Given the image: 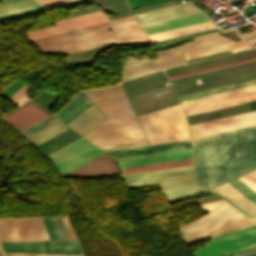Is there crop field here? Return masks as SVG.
Here are the masks:
<instances>
[{
    "label": "crop field",
    "instance_id": "17",
    "mask_svg": "<svg viewBox=\"0 0 256 256\" xmlns=\"http://www.w3.org/2000/svg\"><path fill=\"white\" fill-rule=\"evenodd\" d=\"M199 207L201 209L206 210L207 212H209V214L202 216L186 225L180 226L179 230H184L208 221H212L236 212H239V210H237L235 207H233L231 204H229L228 202H226L223 199L220 200H216V201H212V202H208V203H204V204H200Z\"/></svg>",
    "mask_w": 256,
    "mask_h": 256
},
{
    "label": "crop field",
    "instance_id": "30",
    "mask_svg": "<svg viewBox=\"0 0 256 256\" xmlns=\"http://www.w3.org/2000/svg\"><path fill=\"white\" fill-rule=\"evenodd\" d=\"M23 240L18 219L0 220V241Z\"/></svg>",
    "mask_w": 256,
    "mask_h": 256
},
{
    "label": "crop field",
    "instance_id": "6",
    "mask_svg": "<svg viewBox=\"0 0 256 256\" xmlns=\"http://www.w3.org/2000/svg\"><path fill=\"white\" fill-rule=\"evenodd\" d=\"M102 154L104 153L81 138L47 155V157L56 165L63 175Z\"/></svg>",
    "mask_w": 256,
    "mask_h": 256
},
{
    "label": "crop field",
    "instance_id": "50",
    "mask_svg": "<svg viewBox=\"0 0 256 256\" xmlns=\"http://www.w3.org/2000/svg\"><path fill=\"white\" fill-rule=\"evenodd\" d=\"M255 103H256V101L248 102V105L255 104ZM249 110H250V111H251V110H256V106L249 108Z\"/></svg>",
    "mask_w": 256,
    "mask_h": 256
},
{
    "label": "crop field",
    "instance_id": "24",
    "mask_svg": "<svg viewBox=\"0 0 256 256\" xmlns=\"http://www.w3.org/2000/svg\"><path fill=\"white\" fill-rule=\"evenodd\" d=\"M193 165L192 158L119 168L122 175Z\"/></svg>",
    "mask_w": 256,
    "mask_h": 256
},
{
    "label": "crop field",
    "instance_id": "34",
    "mask_svg": "<svg viewBox=\"0 0 256 256\" xmlns=\"http://www.w3.org/2000/svg\"><path fill=\"white\" fill-rule=\"evenodd\" d=\"M31 86L28 84H24L21 86L17 91H15L10 97H8L6 100L14 104L15 106H20L23 103L27 102L31 98L26 97L25 92L28 88Z\"/></svg>",
    "mask_w": 256,
    "mask_h": 256
},
{
    "label": "crop field",
    "instance_id": "19",
    "mask_svg": "<svg viewBox=\"0 0 256 256\" xmlns=\"http://www.w3.org/2000/svg\"><path fill=\"white\" fill-rule=\"evenodd\" d=\"M212 190L224 197L247 216L256 215V206L252 204L253 202L251 203L249 200H247L248 198L246 199L227 183Z\"/></svg>",
    "mask_w": 256,
    "mask_h": 256
},
{
    "label": "crop field",
    "instance_id": "33",
    "mask_svg": "<svg viewBox=\"0 0 256 256\" xmlns=\"http://www.w3.org/2000/svg\"><path fill=\"white\" fill-rule=\"evenodd\" d=\"M233 188L239 191L242 195L248 198L251 202L256 205V192H254L251 188H249L246 184H244L238 178L228 182Z\"/></svg>",
    "mask_w": 256,
    "mask_h": 256
},
{
    "label": "crop field",
    "instance_id": "11",
    "mask_svg": "<svg viewBox=\"0 0 256 256\" xmlns=\"http://www.w3.org/2000/svg\"><path fill=\"white\" fill-rule=\"evenodd\" d=\"M252 124H256V111L192 125L190 131L195 138Z\"/></svg>",
    "mask_w": 256,
    "mask_h": 256
},
{
    "label": "crop field",
    "instance_id": "37",
    "mask_svg": "<svg viewBox=\"0 0 256 256\" xmlns=\"http://www.w3.org/2000/svg\"><path fill=\"white\" fill-rule=\"evenodd\" d=\"M170 0H127L130 9L150 6Z\"/></svg>",
    "mask_w": 256,
    "mask_h": 256
},
{
    "label": "crop field",
    "instance_id": "21",
    "mask_svg": "<svg viewBox=\"0 0 256 256\" xmlns=\"http://www.w3.org/2000/svg\"><path fill=\"white\" fill-rule=\"evenodd\" d=\"M104 118L105 117L102 115V113L93 104L79 116L69 122L68 125L83 135Z\"/></svg>",
    "mask_w": 256,
    "mask_h": 256
},
{
    "label": "crop field",
    "instance_id": "18",
    "mask_svg": "<svg viewBox=\"0 0 256 256\" xmlns=\"http://www.w3.org/2000/svg\"><path fill=\"white\" fill-rule=\"evenodd\" d=\"M0 19L19 17L36 11L45 5L36 0H1Z\"/></svg>",
    "mask_w": 256,
    "mask_h": 256
},
{
    "label": "crop field",
    "instance_id": "3",
    "mask_svg": "<svg viewBox=\"0 0 256 256\" xmlns=\"http://www.w3.org/2000/svg\"><path fill=\"white\" fill-rule=\"evenodd\" d=\"M110 31L105 29L116 28ZM109 42L116 44L148 43L139 27L133 21L37 44L36 46L48 54H70L87 50Z\"/></svg>",
    "mask_w": 256,
    "mask_h": 256
},
{
    "label": "crop field",
    "instance_id": "1",
    "mask_svg": "<svg viewBox=\"0 0 256 256\" xmlns=\"http://www.w3.org/2000/svg\"><path fill=\"white\" fill-rule=\"evenodd\" d=\"M223 183L256 168V125L215 135ZM214 135L192 140L198 183H222Z\"/></svg>",
    "mask_w": 256,
    "mask_h": 256
},
{
    "label": "crop field",
    "instance_id": "9",
    "mask_svg": "<svg viewBox=\"0 0 256 256\" xmlns=\"http://www.w3.org/2000/svg\"><path fill=\"white\" fill-rule=\"evenodd\" d=\"M239 213H241V212H239ZM239 213L228 216V217H224V218H221V219H218V220H215V221H212V222L200 225V226H196V227L184 230L183 232L186 235V234L196 232V231H199V230H202V229L214 226V225H218V224H221V223L233 220V219L243 217L242 216L243 214L241 213L242 214L241 215ZM255 223H256V217L248 219L245 216L243 218L233 220V221H230V222H227V223L215 226V227H211V228H208V229L196 232V233H192V234H189V235H186V236H184L182 231L180 233H181V236H182L185 244H187V243L192 242V241L209 238V237H212V236L223 234V233H226V232H229V231H232V230H236V229H239V228H242V227H245V226H248V225H252V224H255Z\"/></svg>",
    "mask_w": 256,
    "mask_h": 256
},
{
    "label": "crop field",
    "instance_id": "43",
    "mask_svg": "<svg viewBox=\"0 0 256 256\" xmlns=\"http://www.w3.org/2000/svg\"><path fill=\"white\" fill-rule=\"evenodd\" d=\"M253 249H256V244L248 246V247H245V248H242V249L226 252V253H224V255L225 256H232V255L244 253V252H247V251H250V250H253Z\"/></svg>",
    "mask_w": 256,
    "mask_h": 256
},
{
    "label": "crop field",
    "instance_id": "40",
    "mask_svg": "<svg viewBox=\"0 0 256 256\" xmlns=\"http://www.w3.org/2000/svg\"><path fill=\"white\" fill-rule=\"evenodd\" d=\"M239 179L256 191V170L239 177Z\"/></svg>",
    "mask_w": 256,
    "mask_h": 256
},
{
    "label": "crop field",
    "instance_id": "46",
    "mask_svg": "<svg viewBox=\"0 0 256 256\" xmlns=\"http://www.w3.org/2000/svg\"><path fill=\"white\" fill-rule=\"evenodd\" d=\"M47 5H50V4H54V3H57V2H61V1H64V0H39Z\"/></svg>",
    "mask_w": 256,
    "mask_h": 256
},
{
    "label": "crop field",
    "instance_id": "15",
    "mask_svg": "<svg viewBox=\"0 0 256 256\" xmlns=\"http://www.w3.org/2000/svg\"><path fill=\"white\" fill-rule=\"evenodd\" d=\"M48 115L50 114L33 101L2 118L22 130Z\"/></svg>",
    "mask_w": 256,
    "mask_h": 256
},
{
    "label": "crop field",
    "instance_id": "27",
    "mask_svg": "<svg viewBox=\"0 0 256 256\" xmlns=\"http://www.w3.org/2000/svg\"><path fill=\"white\" fill-rule=\"evenodd\" d=\"M188 147H191L190 141L166 144V145H159V146H152V147L130 149V150H123V151H116V152H109L108 154L110 156H112L113 158H117V157H124V156H131V155H138V154H145V153H152V152H160V151H167V150H174V149H181V148H188Z\"/></svg>",
    "mask_w": 256,
    "mask_h": 256
},
{
    "label": "crop field",
    "instance_id": "13",
    "mask_svg": "<svg viewBox=\"0 0 256 256\" xmlns=\"http://www.w3.org/2000/svg\"><path fill=\"white\" fill-rule=\"evenodd\" d=\"M186 4L189 2L135 14L134 17L143 26L200 12L195 7L188 8Z\"/></svg>",
    "mask_w": 256,
    "mask_h": 256
},
{
    "label": "crop field",
    "instance_id": "16",
    "mask_svg": "<svg viewBox=\"0 0 256 256\" xmlns=\"http://www.w3.org/2000/svg\"><path fill=\"white\" fill-rule=\"evenodd\" d=\"M189 157H192L191 148L167 151V152H160V153H153V154L131 156V157H124V158H117L116 160L118 162V166L122 167V166H130V165L167 161V160L189 158Z\"/></svg>",
    "mask_w": 256,
    "mask_h": 256
},
{
    "label": "crop field",
    "instance_id": "52",
    "mask_svg": "<svg viewBox=\"0 0 256 256\" xmlns=\"http://www.w3.org/2000/svg\"><path fill=\"white\" fill-rule=\"evenodd\" d=\"M1 256V255H0Z\"/></svg>",
    "mask_w": 256,
    "mask_h": 256
},
{
    "label": "crop field",
    "instance_id": "23",
    "mask_svg": "<svg viewBox=\"0 0 256 256\" xmlns=\"http://www.w3.org/2000/svg\"><path fill=\"white\" fill-rule=\"evenodd\" d=\"M194 39L195 41L183 45L185 53L233 42L232 40L222 36L219 31L196 36Z\"/></svg>",
    "mask_w": 256,
    "mask_h": 256
},
{
    "label": "crop field",
    "instance_id": "10",
    "mask_svg": "<svg viewBox=\"0 0 256 256\" xmlns=\"http://www.w3.org/2000/svg\"><path fill=\"white\" fill-rule=\"evenodd\" d=\"M2 251L81 254L77 240L1 242Z\"/></svg>",
    "mask_w": 256,
    "mask_h": 256
},
{
    "label": "crop field",
    "instance_id": "44",
    "mask_svg": "<svg viewBox=\"0 0 256 256\" xmlns=\"http://www.w3.org/2000/svg\"><path fill=\"white\" fill-rule=\"evenodd\" d=\"M62 220H63V222H64V224H65V226H66V228H67L71 238L72 239H76V235H75V233H74V231H73V229H72V227H71L67 217H62Z\"/></svg>",
    "mask_w": 256,
    "mask_h": 256
},
{
    "label": "crop field",
    "instance_id": "25",
    "mask_svg": "<svg viewBox=\"0 0 256 256\" xmlns=\"http://www.w3.org/2000/svg\"><path fill=\"white\" fill-rule=\"evenodd\" d=\"M24 239L49 238L41 218H18ZM44 240V239H34Z\"/></svg>",
    "mask_w": 256,
    "mask_h": 256
},
{
    "label": "crop field",
    "instance_id": "35",
    "mask_svg": "<svg viewBox=\"0 0 256 256\" xmlns=\"http://www.w3.org/2000/svg\"><path fill=\"white\" fill-rule=\"evenodd\" d=\"M58 121H60V120H58L54 116H51V117L41 121L40 123L32 126L31 128L21 132V133L27 138V137H29V136H31V135H33V134L43 130L44 128H46V127H48V126H50V125H52V124H54V123H56Z\"/></svg>",
    "mask_w": 256,
    "mask_h": 256
},
{
    "label": "crop field",
    "instance_id": "45",
    "mask_svg": "<svg viewBox=\"0 0 256 256\" xmlns=\"http://www.w3.org/2000/svg\"><path fill=\"white\" fill-rule=\"evenodd\" d=\"M250 47L251 46L240 48V49H235V50H231V51H227V52H222V53H218V54H214V55H209V56H205V57H201V58H196V59L188 60L186 62H190V61H194V60H198V59H203V58H207V57H211V56H216V55H220V54H224V53H229V52H233V51H237V50H242V49H246V48H250Z\"/></svg>",
    "mask_w": 256,
    "mask_h": 256
},
{
    "label": "crop field",
    "instance_id": "47",
    "mask_svg": "<svg viewBox=\"0 0 256 256\" xmlns=\"http://www.w3.org/2000/svg\"><path fill=\"white\" fill-rule=\"evenodd\" d=\"M58 219H59V222H60V224H61V227H62L63 233H64V235H65V238H66V239H70V237H69V235H68V233H67V231H66V229H65V227H64V225H63V223H62V221H61V219H60V217H59Z\"/></svg>",
    "mask_w": 256,
    "mask_h": 256
},
{
    "label": "crop field",
    "instance_id": "29",
    "mask_svg": "<svg viewBox=\"0 0 256 256\" xmlns=\"http://www.w3.org/2000/svg\"><path fill=\"white\" fill-rule=\"evenodd\" d=\"M211 27H215V25L210 21H208V22H204L196 25H191V26H187L179 29H174L166 32L149 35L148 37L150 38L151 41H156V40L167 39V38L195 32V31L211 28Z\"/></svg>",
    "mask_w": 256,
    "mask_h": 256
},
{
    "label": "crop field",
    "instance_id": "41",
    "mask_svg": "<svg viewBox=\"0 0 256 256\" xmlns=\"http://www.w3.org/2000/svg\"><path fill=\"white\" fill-rule=\"evenodd\" d=\"M4 256H81V255H58V254H35V253H3Z\"/></svg>",
    "mask_w": 256,
    "mask_h": 256
},
{
    "label": "crop field",
    "instance_id": "8",
    "mask_svg": "<svg viewBox=\"0 0 256 256\" xmlns=\"http://www.w3.org/2000/svg\"><path fill=\"white\" fill-rule=\"evenodd\" d=\"M204 247L198 248L194 256H210L256 243V224L211 238Z\"/></svg>",
    "mask_w": 256,
    "mask_h": 256
},
{
    "label": "crop field",
    "instance_id": "20",
    "mask_svg": "<svg viewBox=\"0 0 256 256\" xmlns=\"http://www.w3.org/2000/svg\"><path fill=\"white\" fill-rule=\"evenodd\" d=\"M209 20L207 17H205L202 13L191 15V16H186L178 19H173L169 21H164L156 24H151L147 26H143L142 29L146 33V35L165 31V30H170L186 25H191L203 21Z\"/></svg>",
    "mask_w": 256,
    "mask_h": 256
},
{
    "label": "crop field",
    "instance_id": "32",
    "mask_svg": "<svg viewBox=\"0 0 256 256\" xmlns=\"http://www.w3.org/2000/svg\"><path fill=\"white\" fill-rule=\"evenodd\" d=\"M253 84H256V79L241 82V83H236V84H232V85H228V86H224V87H219V88H215V89H211V90H207V91H203V92L190 94V95L182 96L180 98L182 101H184V100H188V99H192V98H197V97L210 95V94H214V93H218V92H223V91H227V90H231V89L245 87V86H249V85H253Z\"/></svg>",
    "mask_w": 256,
    "mask_h": 256
},
{
    "label": "crop field",
    "instance_id": "5",
    "mask_svg": "<svg viewBox=\"0 0 256 256\" xmlns=\"http://www.w3.org/2000/svg\"><path fill=\"white\" fill-rule=\"evenodd\" d=\"M137 118L150 144L189 139L180 104Z\"/></svg>",
    "mask_w": 256,
    "mask_h": 256
},
{
    "label": "crop field",
    "instance_id": "36",
    "mask_svg": "<svg viewBox=\"0 0 256 256\" xmlns=\"http://www.w3.org/2000/svg\"><path fill=\"white\" fill-rule=\"evenodd\" d=\"M145 145H148V143H147L146 140H143V141L122 143V144L100 146L98 148L103 150V151H108V150H116V149L130 148V147L145 146Z\"/></svg>",
    "mask_w": 256,
    "mask_h": 256
},
{
    "label": "crop field",
    "instance_id": "48",
    "mask_svg": "<svg viewBox=\"0 0 256 256\" xmlns=\"http://www.w3.org/2000/svg\"><path fill=\"white\" fill-rule=\"evenodd\" d=\"M236 256H256V250H253L244 254L236 255Z\"/></svg>",
    "mask_w": 256,
    "mask_h": 256
},
{
    "label": "crop field",
    "instance_id": "42",
    "mask_svg": "<svg viewBox=\"0 0 256 256\" xmlns=\"http://www.w3.org/2000/svg\"><path fill=\"white\" fill-rule=\"evenodd\" d=\"M255 95H256V93L229 99V100H225V101H220V102H216V103H212V104H208V105H203V106H199V107H195V108H191V109H187L185 111L188 112V111H192V110H196V109H200V108H204V107H209V106H213V105H217V104H221V103H226V102H230V101H234V100H238V99H242V98H247V97H251V96H255Z\"/></svg>",
    "mask_w": 256,
    "mask_h": 256
},
{
    "label": "crop field",
    "instance_id": "2",
    "mask_svg": "<svg viewBox=\"0 0 256 256\" xmlns=\"http://www.w3.org/2000/svg\"><path fill=\"white\" fill-rule=\"evenodd\" d=\"M107 118L84 137L96 146L146 139L121 88L84 92Z\"/></svg>",
    "mask_w": 256,
    "mask_h": 256
},
{
    "label": "crop field",
    "instance_id": "4",
    "mask_svg": "<svg viewBox=\"0 0 256 256\" xmlns=\"http://www.w3.org/2000/svg\"><path fill=\"white\" fill-rule=\"evenodd\" d=\"M122 178L127 188L159 183L165 198L208 191L196 184L193 166L125 175Z\"/></svg>",
    "mask_w": 256,
    "mask_h": 256
},
{
    "label": "crop field",
    "instance_id": "12",
    "mask_svg": "<svg viewBox=\"0 0 256 256\" xmlns=\"http://www.w3.org/2000/svg\"><path fill=\"white\" fill-rule=\"evenodd\" d=\"M107 21V18L104 13L101 11L85 14L73 18H67L62 20H56L54 21L56 26L44 28L36 31H32L29 33H26L27 39H35L99 22Z\"/></svg>",
    "mask_w": 256,
    "mask_h": 256
},
{
    "label": "crop field",
    "instance_id": "7",
    "mask_svg": "<svg viewBox=\"0 0 256 256\" xmlns=\"http://www.w3.org/2000/svg\"><path fill=\"white\" fill-rule=\"evenodd\" d=\"M182 63L185 61L180 45L168 50L156 51V58L152 60L146 58L135 60L129 57L124 62L121 81Z\"/></svg>",
    "mask_w": 256,
    "mask_h": 256
},
{
    "label": "crop field",
    "instance_id": "38",
    "mask_svg": "<svg viewBox=\"0 0 256 256\" xmlns=\"http://www.w3.org/2000/svg\"><path fill=\"white\" fill-rule=\"evenodd\" d=\"M254 59H256V56L247 58V59H243V60H238V61H234V62H230V63L213 66V67H208V68H204V69H200V70H195V71H191V72H187V73H183V74L170 76L169 79L180 77V76H185V75H189V74H193V73H198V72H202V71H206V70H211V69H215V68H219V67H224V66H228V65H232V64H237V63H241V62H245V61H250V60H254Z\"/></svg>",
    "mask_w": 256,
    "mask_h": 256
},
{
    "label": "crop field",
    "instance_id": "28",
    "mask_svg": "<svg viewBox=\"0 0 256 256\" xmlns=\"http://www.w3.org/2000/svg\"><path fill=\"white\" fill-rule=\"evenodd\" d=\"M256 44V37L185 54L186 60Z\"/></svg>",
    "mask_w": 256,
    "mask_h": 256
},
{
    "label": "crop field",
    "instance_id": "22",
    "mask_svg": "<svg viewBox=\"0 0 256 256\" xmlns=\"http://www.w3.org/2000/svg\"><path fill=\"white\" fill-rule=\"evenodd\" d=\"M256 92V85L184 101L185 109Z\"/></svg>",
    "mask_w": 256,
    "mask_h": 256
},
{
    "label": "crop field",
    "instance_id": "14",
    "mask_svg": "<svg viewBox=\"0 0 256 256\" xmlns=\"http://www.w3.org/2000/svg\"><path fill=\"white\" fill-rule=\"evenodd\" d=\"M116 174L118 170L113 159L104 154L64 176L96 178Z\"/></svg>",
    "mask_w": 256,
    "mask_h": 256
},
{
    "label": "crop field",
    "instance_id": "49",
    "mask_svg": "<svg viewBox=\"0 0 256 256\" xmlns=\"http://www.w3.org/2000/svg\"><path fill=\"white\" fill-rule=\"evenodd\" d=\"M243 36L244 38L256 36V31L244 33Z\"/></svg>",
    "mask_w": 256,
    "mask_h": 256
},
{
    "label": "crop field",
    "instance_id": "39",
    "mask_svg": "<svg viewBox=\"0 0 256 256\" xmlns=\"http://www.w3.org/2000/svg\"><path fill=\"white\" fill-rule=\"evenodd\" d=\"M255 99H256V96L247 98V99L230 102V103H226V104H221V105H217V106H213V107H209V108H204V109L188 112V113H186V115L187 116L193 115V114H197V113H201V112H205V111H209V110H214V109H218V108H222V107H226V106H230V105H235V104H239V103H243V102H247V101H251V100H255Z\"/></svg>",
    "mask_w": 256,
    "mask_h": 256
},
{
    "label": "crop field",
    "instance_id": "31",
    "mask_svg": "<svg viewBox=\"0 0 256 256\" xmlns=\"http://www.w3.org/2000/svg\"><path fill=\"white\" fill-rule=\"evenodd\" d=\"M132 19H134V17L129 16V17H125V18H121V19H117V20H113V21H109V22H105V23L85 27V28H80V29H76V30H72V31H68V32H64V33H60V34H56V35L36 39V40H32L31 42L36 44V43H40V42H44V41H48V40H52V39H56V38H60V37L80 33V32H84V31H88V30H92V29H96V28H100V27H104V26H108V25H112V24H116V23H120V22H124V21H128V20H132Z\"/></svg>",
    "mask_w": 256,
    "mask_h": 256
},
{
    "label": "crop field",
    "instance_id": "51",
    "mask_svg": "<svg viewBox=\"0 0 256 256\" xmlns=\"http://www.w3.org/2000/svg\"><path fill=\"white\" fill-rule=\"evenodd\" d=\"M0 254H2V252L0 251Z\"/></svg>",
    "mask_w": 256,
    "mask_h": 256
},
{
    "label": "crop field",
    "instance_id": "26",
    "mask_svg": "<svg viewBox=\"0 0 256 256\" xmlns=\"http://www.w3.org/2000/svg\"><path fill=\"white\" fill-rule=\"evenodd\" d=\"M93 104L82 92L75 95L65 109L55 114L66 123ZM60 119V120H61ZM64 122V123H65Z\"/></svg>",
    "mask_w": 256,
    "mask_h": 256
}]
</instances>
